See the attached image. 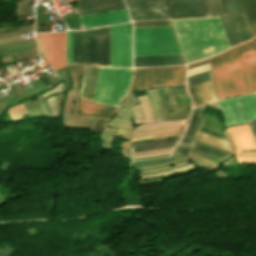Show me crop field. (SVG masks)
Instances as JSON below:
<instances>
[{
  "instance_id": "obj_1",
  "label": "crop field",
  "mask_w": 256,
  "mask_h": 256,
  "mask_svg": "<svg viewBox=\"0 0 256 256\" xmlns=\"http://www.w3.org/2000/svg\"><path fill=\"white\" fill-rule=\"evenodd\" d=\"M218 99L256 91V39L210 58Z\"/></svg>"
},
{
  "instance_id": "obj_2",
  "label": "crop field",
  "mask_w": 256,
  "mask_h": 256,
  "mask_svg": "<svg viewBox=\"0 0 256 256\" xmlns=\"http://www.w3.org/2000/svg\"><path fill=\"white\" fill-rule=\"evenodd\" d=\"M187 63L228 48L218 17L172 20Z\"/></svg>"
},
{
  "instance_id": "obj_3",
  "label": "crop field",
  "mask_w": 256,
  "mask_h": 256,
  "mask_svg": "<svg viewBox=\"0 0 256 256\" xmlns=\"http://www.w3.org/2000/svg\"><path fill=\"white\" fill-rule=\"evenodd\" d=\"M181 54L171 27L134 29V57Z\"/></svg>"
},
{
  "instance_id": "obj_4",
  "label": "crop field",
  "mask_w": 256,
  "mask_h": 256,
  "mask_svg": "<svg viewBox=\"0 0 256 256\" xmlns=\"http://www.w3.org/2000/svg\"><path fill=\"white\" fill-rule=\"evenodd\" d=\"M132 69L101 67L93 100L116 106L128 90Z\"/></svg>"
},
{
  "instance_id": "obj_5",
  "label": "crop field",
  "mask_w": 256,
  "mask_h": 256,
  "mask_svg": "<svg viewBox=\"0 0 256 256\" xmlns=\"http://www.w3.org/2000/svg\"><path fill=\"white\" fill-rule=\"evenodd\" d=\"M185 83V66L134 69L130 91Z\"/></svg>"
},
{
  "instance_id": "obj_6",
  "label": "crop field",
  "mask_w": 256,
  "mask_h": 256,
  "mask_svg": "<svg viewBox=\"0 0 256 256\" xmlns=\"http://www.w3.org/2000/svg\"><path fill=\"white\" fill-rule=\"evenodd\" d=\"M217 102L224 114L226 126L246 123L256 117V93Z\"/></svg>"
},
{
  "instance_id": "obj_7",
  "label": "crop field",
  "mask_w": 256,
  "mask_h": 256,
  "mask_svg": "<svg viewBox=\"0 0 256 256\" xmlns=\"http://www.w3.org/2000/svg\"><path fill=\"white\" fill-rule=\"evenodd\" d=\"M111 66L131 67V23L110 26Z\"/></svg>"
},
{
  "instance_id": "obj_8",
  "label": "crop field",
  "mask_w": 256,
  "mask_h": 256,
  "mask_svg": "<svg viewBox=\"0 0 256 256\" xmlns=\"http://www.w3.org/2000/svg\"><path fill=\"white\" fill-rule=\"evenodd\" d=\"M43 57L53 70L66 65L65 32L36 35Z\"/></svg>"
},
{
  "instance_id": "obj_9",
  "label": "crop field",
  "mask_w": 256,
  "mask_h": 256,
  "mask_svg": "<svg viewBox=\"0 0 256 256\" xmlns=\"http://www.w3.org/2000/svg\"><path fill=\"white\" fill-rule=\"evenodd\" d=\"M73 64L96 65L95 28L73 30Z\"/></svg>"
},
{
  "instance_id": "obj_10",
  "label": "crop field",
  "mask_w": 256,
  "mask_h": 256,
  "mask_svg": "<svg viewBox=\"0 0 256 256\" xmlns=\"http://www.w3.org/2000/svg\"><path fill=\"white\" fill-rule=\"evenodd\" d=\"M228 133L235 145V157L239 163L256 162V151H246L256 149V144L247 125L236 126L228 129ZM246 151V152H242ZM244 154L241 156H236Z\"/></svg>"
},
{
  "instance_id": "obj_11",
  "label": "crop field",
  "mask_w": 256,
  "mask_h": 256,
  "mask_svg": "<svg viewBox=\"0 0 256 256\" xmlns=\"http://www.w3.org/2000/svg\"><path fill=\"white\" fill-rule=\"evenodd\" d=\"M133 20L170 18L163 0H126Z\"/></svg>"
},
{
  "instance_id": "obj_12",
  "label": "crop field",
  "mask_w": 256,
  "mask_h": 256,
  "mask_svg": "<svg viewBox=\"0 0 256 256\" xmlns=\"http://www.w3.org/2000/svg\"><path fill=\"white\" fill-rule=\"evenodd\" d=\"M171 18L208 16L202 0H164Z\"/></svg>"
},
{
  "instance_id": "obj_13",
  "label": "crop field",
  "mask_w": 256,
  "mask_h": 256,
  "mask_svg": "<svg viewBox=\"0 0 256 256\" xmlns=\"http://www.w3.org/2000/svg\"><path fill=\"white\" fill-rule=\"evenodd\" d=\"M80 24H84V28L131 21L129 14L126 9L82 16L79 17Z\"/></svg>"
},
{
  "instance_id": "obj_14",
  "label": "crop field",
  "mask_w": 256,
  "mask_h": 256,
  "mask_svg": "<svg viewBox=\"0 0 256 256\" xmlns=\"http://www.w3.org/2000/svg\"><path fill=\"white\" fill-rule=\"evenodd\" d=\"M123 8V0H78L79 16Z\"/></svg>"
},
{
  "instance_id": "obj_15",
  "label": "crop field",
  "mask_w": 256,
  "mask_h": 256,
  "mask_svg": "<svg viewBox=\"0 0 256 256\" xmlns=\"http://www.w3.org/2000/svg\"><path fill=\"white\" fill-rule=\"evenodd\" d=\"M97 65L110 66L109 26L96 28Z\"/></svg>"
},
{
  "instance_id": "obj_16",
  "label": "crop field",
  "mask_w": 256,
  "mask_h": 256,
  "mask_svg": "<svg viewBox=\"0 0 256 256\" xmlns=\"http://www.w3.org/2000/svg\"><path fill=\"white\" fill-rule=\"evenodd\" d=\"M100 67L83 66L79 99L91 101Z\"/></svg>"
},
{
  "instance_id": "obj_17",
  "label": "crop field",
  "mask_w": 256,
  "mask_h": 256,
  "mask_svg": "<svg viewBox=\"0 0 256 256\" xmlns=\"http://www.w3.org/2000/svg\"><path fill=\"white\" fill-rule=\"evenodd\" d=\"M180 136L131 142V152L174 146Z\"/></svg>"
},
{
  "instance_id": "obj_18",
  "label": "crop field",
  "mask_w": 256,
  "mask_h": 256,
  "mask_svg": "<svg viewBox=\"0 0 256 256\" xmlns=\"http://www.w3.org/2000/svg\"><path fill=\"white\" fill-rule=\"evenodd\" d=\"M185 64L181 55L134 58V67Z\"/></svg>"
},
{
  "instance_id": "obj_19",
  "label": "crop field",
  "mask_w": 256,
  "mask_h": 256,
  "mask_svg": "<svg viewBox=\"0 0 256 256\" xmlns=\"http://www.w3.org/2000/svg\"><path fill=\"white\" fill-rule=\"evenodd\" d=\"M116 110L115 108L80 101V113L108 119Z\"/></svg>"
},
{
  "instance_id": "obj_20",
  "label": "crop field",
  "mask_w": 256,
  "mask_h": 256,
  "mask_svg": "<svg viewBox=\"0 0 256 256\" xmlns=\"http://www.w3.org/2000/svg\"><path fill=\"white\" fill-rule=\"evenodd\" d=\"M204 106L205 105L192 109V115H191L187 130H186V133L180 141L181 143L191 145L194 131H195L196 125L198 123V120L200 118V115L203 111Z\"/></svg>"
},
{
  "instance_id": "obj_21",
  "label": "crop field",
  "mask_w": 256,
  "mask_h": 256,
  "mask_svg": "<svg viewBox=\"0 0 256 256\" xmlns=\"http://www.w3.org/2000/svg\"><path fill=\"white\" fill-rule=\"evenodd\" d=\"M188 91L192 97V101L215 94L212 80L189 87Z\"/></svg>"
},
{
  "instance_id": "obj_22",
  "label": "crop field",
  "mask_w": 256,
  "mask_h": 256,
  "mask_svg": "<svg viewBox=\"0 0 256 256\" xmlns=\"http://www.w3.org/2000/svg\"><path fill=\"white\" fill-rule=\"evenodd\" d=\"M240 2L254 36L256 34V0H240Z\"/></svg>"
},
{
  "instance_id": "obj_23",
  "label": "crop field",
  "mask_w": 256,
  "mask_h": 256,
  "mask_svg": "<svg viewBox=\"0 0 256 256\" xmlns=\"http://www.w3.org/2000/svg\"><path fill=\"white\" fill-rule=\"evenodd\" d=\"M195 138L232 153V146H231V143L228 141L221 140L219 138H216L212 135L201 132L199 130L197 131Z\"/></svg>"
},
{
  "instance_id": "obj_24",
  "label": "crop field",
  "mask_w": 256,
  "mask_h": 256,
  "mask_svg": "<svg viewBox=\"0 0 256 256\" xmlns=\"http://www.w3.org/2000/svg\"><path fill=\"white\" fill-rule=\"evenodd\" d=\"M228 38L230 46L240 43L231 17H219Z\"/></svg>"
},
{
  "instance_id": "obj_25",
  "label": "crop field",
  "mask_w": 256,
  "mask_h": 256,
  "mask_svg": "<svg viewBox=\"0 0 256 256\" xmlns=\"http://www.w3.org/2000/svg\"><path fill=\"white\" fill-rule=\"evenodd\" d=\"M232 18L241 42L252 37L245 16H238Z\"/></svg>"
},
{
  "instance_id": "obj_26",
  "label": "crop field",
  "mask_w": 256,
  "mask_h": 256,
  "mask_svg": "<svg viewBox=\"0 0 256 256\" xmlns=\"http://www.w3.org/2000/svg\"><path fill=\"white\" fill-rule=\"evenodd\" d=\"M209 16L226 15L221 0H203Z\"/></svg>"
},
{
  "instance_id": "obj_27",
  "label": "crop field",
  "mask_w": 256,
  "mask_h": 256,
  "mask_svg": "<svg viewBox=\"0 0 256 256\" xmlns=\"http://www.w3.org/2000/svg\"><path fill=\"white\" fill-rule=\"evenodd\" d=\"M227 15L244 14L239 0H222Z\"/></svg>"
},
{
  "instance_id": "obj_28",
  "label": "crop field",
  "mask_w": 256,
  "mask_h": 256,
  "mask_svg": "<svg viewBox=\"0 0 256 256\" xmlns=\"http://www.w3.org/2000/svg\"><path fill=\"white\" fill-rule=\"evenodd\" d=\"M211 79L212 77H211L210 70L202 73H198V74L187 77V86L189 87V86L202 83Z\"/></svg>"
},
{
  "instance_id": "obj_29",
  "label": "crop field",
  "mask_w": 256,
  "mask_h": 256,
  "mask_svg": "<svg viewBox=\"0 0 256 256\" xmlns=\"http://www.w3.org/2000/svg\"><path fill=\"white\" fill-rule=\"evenodd\" d=\"M134 28L171 26L169 20L133 22Z\"/></svg>"
},
{
  "instance_id": "obj_30",
  "label": "crop field",
  "mask_w": 256,
  "mask_h": 256,
  "mask_svg": "<svg viewBox=\"0 0 256 256\" xmlns=\"http://www.w3.org/2000/svg\"><path fill=\"white\" fill-rule=\"evenodd\" d=\"M69 76L72 81V87H79V76L82 72V66L68 65Z\"/></svg>"
},
{
  "instance_id": "obj_31",
  "label": "crop field",
  "mask_w": 256,
  "mask_h": 256,
  "mask_svg": "<svg viewBox=\"0 0 256 256\" xmlns=\"http://www.w3.org/2000/svg\"><path fill=\"white\" fill-rule=\"evenodd\" d=\"M193 147L196 148V149H199V150H201L203 152H206L208 154H211V155H213L215 157H218V158H220L222 160L226 159L229 156L227 154H224V153H221L219 151L213 150L211 148L205 147L203 145L197 144L195 142L193 144Z\"/></svg>"
},
{
  "instance_id": "obj_32",
  "label": "crop field",
  "mask_w": 256,
  "mask_h": 256,
  "mask_svg": "<svg viewBox=\"0 0 256 256\" xmlns=\"http://www.w3.org/2000/svg\"><path fill=\"white\" fill-rule=\"evenodd\" d=\"M67 55H68V63L72 64V30H68Z\"/></svg>"
},
{
  "instance_id": "obj_33",
  "label": "crop field",
  "mask_w": 256,
  "mask_h": 256,
  "mask_svg": "<svg viewBox=\"0 0 256 256\" xmlns=\"http://www.w3.org/2000/svg\"><path fill=\"white\" fill-rule=\"evenodd\" d=\"M174 150H175L176 154H178L182 157H185L187 155V153L190 151V146L178 143Z\"/></svg>"
},
{
  "instance_id": "obj_34",
  "label": "crop field",
  "mask_w": 256,
  "mask_h": 256,
  "mask_svg": "<svg viewBox=\"0 0 256 256\" xmlns=\"http://www.w3.org/2000/svg\"><path fill=\"white\" fill-rule=\"evenodd\" d=\"M181 132L182 131L172 132V133H164V134H157V135H150V136L135 137V138H132L131 141L141 140V139H149V138H156V137H163V136L178 135V134H181Z\"/></svg>"
},
{
  "instance_id": "obj_35",
  "label": "crop field",
  "mask_w": 256,
  "mask_h": 256,
  "mask_svg": "<svg viewBox=\"0 0 256 256\" xmlns=\"http://www.w3.org/2000/svg\"><path fill=\"white\" fill-rule=\"evenodd\" d=\"M213 100H216L215 95L207 97V98H204V99H200V100H197V101H193L192 105L194 107V106H197V105H200V104H203V103H206V102H210V101H213Z\"/></svg>"
},
{
  "instance_id": "obj_36",
  "label": "crop field",
  "mask_w": 256,
  "mask_h": 256,
  "mask_svg": "<svg viewBox=\"0 0 256 256\" xmlns=\"http://www.w3.org/2000/svg\"><path fill=\"white\" fill-rule=\"evenodd\" d=\"M105 122L106 120L98 118L93 127V130L100 131Z\"/></svg>"
},
{
  "instance_id": "obj_37",
  "label": "crop field",
  "mask_w": 256,
  "mask_h": 256,
  "mask_svg": "<svg viewBox=\"0 0 256 256\" xmlns=\"http://www.w3.org/2000/svg\"><path fill=\"white\" fill-rule=\"evenodd\" d=\"M208 63H209V61L207 59H205V60L190 64V65H187V70L191 69V68L201 66V65H205V64H208Z\"/></svg>"
},
{
  "instance_id": "obj_38",
  "label": "crop field",
  "mask_w": 256,
  "mask_h": 256,
  "mask_svg": "<svg viewBox=\"0 0 256 256\" xmlns=\"http://www.w3.org/2000/svg\"><path fill=\"white\" fill-rule=\"evenodd\" d=\"M199 130L204 131V132H207V133H209V134H212V135H215V136H218V137H221V138H224V139L228 140V137H227V136L218 134V133H216V132L210 131V130L205 129V128H202V127H200V126H199ZM228 141H229V140H228Z\"/></svg>"
},
{
  "instance_id": "obj_39",
  "label": "crop field",
  "mask_w": 256,
  "mask_h": 256,
  "mask_svg": "<svg viewBox=\"0 0 256 256\" xmlns=\"http://www.w3.org/2000/svg\"><path fill=\"white\" fill-rule=\"evenodd\" d=\"M256 140V119L249 123Z\"/></svg>"
}]
</instances>
